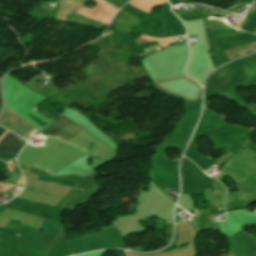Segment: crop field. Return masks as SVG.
<instances>
[{
	"instance_id": "obj_9",
	"label": "crop field",
	"mask_w": 256,
	"mask_h": 256,
	"mask_svg": "<svg viewBox=\"0 0 256 256\" xmlns=\"http://www.w3.org/2000/svg\"><path fill=\"white\" fill-rule=\"evenodd\" d=\"M22 171H23V173H24L25 175L31 176V177H33V178H35V179H37V177H38V175H35V174H32V173H29V172L24 171V170H22Z\"/></svg>"
},
{
	"instance_id": "obj_1",
	"label": "crop field",
	"mask_w": 256,
	"mask_h": 256,
	"mask_svg": "<svg viewBox=\"0 0 256 256\" xmlns=\"http://www.w3.org/2000/svg\"><path fill=\"white\" fill-rule=\"evenodd\" d=\"M62 116L41 133L46 136H56L59 132H61L67 125L72 122ZM0 125L20 135L23 138L33 130V127L26 120L6 108H4L2 114L0 115ZM83 129L84 128L72 122L56 137L70 142Z\"/></svg>"
},
{
	"instance_id": "obj_8",
	"label": "crop field",
	"mask_w": 256,
	"mask_h": 256,
	"mask_svg": "<svg viewBox=\"0 0 256 256\" xmlns=\"http://www.w3.org/2000/svg\"><path fill=\"white\" fill-rule=\"evenodd\" d=\"M141 37H142V38H146V39H150V40H155V39H156V38L146 37V36H142V35H141ZM142 38L136 39V43L141 44V43H145V42H149V41H150V40H146V39H142ZM170 38H172V37H170ZM170 38H160V39H158V40L164 45V44H166L167 42H169L170 40H172V39H170ZM159 41H158V42H159ZM173 41H174V40L170 41L169 43H171V42H173ZM169 43H167L165 46H168Z\"/></svg>"
},
{
	"instance_id": "obj_3",
	"label": "crop field",
	"mask_w": 256,
	"mask_h": 256,
	"mask_svg": "<svg viewBox=\"0 0 256 256\" xmlns=\"http://www.w3.org/2000/svg\"><path fill=\"white\" fill-rule=\"evenodd\" d=\"M97 2V4L99 5L103 0H95ZM105 2V1H104ZM106 3V2H105ZM105 3H101L100 6L91 8V9H87V8H80L78 11H76L77 13H80L84 16H90L91 13L93 12V14L90 16L93 19L98 20L100 18V16L107 10V8L109 7V5L105 4ZM118 10L112 8L111 6L108 8V10L101 16V18L99 19V21L103 22V23H110L111 19L113 18L114 14L117 12Z\"/></svg>"
},
{
	"instance_id": "obj_5",
	"label": "crop field",
	"mask_w": 256,
	"mask_h": 256,
	"mask_svg": "<svg viewBox=\"0 0 256 256\" xmlns=\"http://www.w3.org/2000/svg\"><path fill=\"white\" fill-rule=\"evenodd\" d=\"M253 47H256V38L240 45L224 49L223 51L228 60H231L252 52L251 48Z\"/></svg>"
},
{
	"instance_id": "obj_2",
	"label": "crop field",
	"mask_w": 256,
	"mask_h": 256,
	"mask_svg": "<svg viewBox=\"0 0 256 256\" xmlns=\"http://www.w3.org/2000/svg\"><path fill=\"white\" fill-rule=\"evenodd\" d=\"M4 131L5 129L0 127V136ZM7 132L8 131L6 130L3 133V135L0 137V140ZM25 143V140L8 132L5 137L0 141V152L16 156L21 148L25 145Z\"/></svg>"
},
{
	"instance_id": "obj_4",
	"label": "crop field",
	"mask_w": 256,
	"mask_h": 256,
	"mask_svg": "<svg viewBox=\"0 0 256 256\" xmlns=\"http://www.w3.org/2000/svg\"><path fill=\"white\" fill-rule=\"evenodd\" d=\"M26 178V185L35 188L33 191L44 192L48 194H53L58 197H64L70 188L60 186L56 183H44L38 182L32 178L24 176Z\"/></svg>"
},
{
	"instance_id": "obj_7",
	"label": "crop field",
	"mask_w": 256,
	"mask_h": 256,
	"mask_svg": "<svg viewBox=\"0 0 256 256\" xmlns=\"http://www.w3.org/2000/svg\"><path fill=\"white\" fill-rule=\"evenodd\" d=\"M152 36L165 37L166 36V15L164 11L160 16H154V27Z\"/></svg>"
},
{
	"instance_id": "obj_12",
	"label": "crop field",
	"mask_w": 256,
	"mask_h": 256,
	"mask_svg": "<svg viewBox=\"0 0 256 256\" xmlns=\"http://www.w3.org/2000/svg\"><path fill=\"white\" fill-rule=\"evenodd\" d=\"M73 255H75V254H73ZM70 256H72V255H70Z\"/></svg>"
},
{
	"instance_id": "obj_11",
	"label": "crop field",
	"mask_w": 256,
	"mask_h": 256,
	"mask_svg": "<svg viewBox=\"0 0 256 256\" xmlns=\"http://www.w3.org/2000/svg\"><path fill=\"white\" fill-rule=\"evenodd\" d=\"M254 33L256 34V31Z\"/></svg>"
},
{
	"instance_id": "obj_10",
	"label": "crop field",
	"mask_w": 256,
	"mask_h": 256,
	"mask_svg": "<svg viewBox=\"0 0 256 256\" xmlns=\"http://www.w3.org/2000/svg\"><path fill=\"white\" fill-rule=\"evenodd\" d=\"M13 172H15V168L13 169Z\"/></svg>"
},
{
	"instance_id": "obj_6",
	"label": "crop field",
	"mask_w": 256,
	"mask_h": 256,
	"mask_svg": "<svg viewBox=\"0 0 256 256\" xmlns=\"http://www.w3.org/2000/svg\"><path fill=\"white\" fill-rule=\"evenodd\" d=\"M85 0H64L60 3L59 11L55 17L57 20H65V16L83 6Z\"/></svg>"
}]
</instances>
